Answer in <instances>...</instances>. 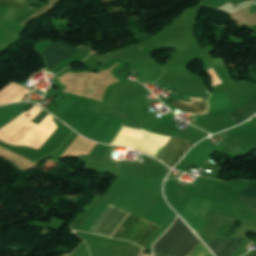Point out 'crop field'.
<instances>
[{"label":"crop field","mask_w":256,"mask_h":256,"mask_svg":"<svg viewBox=\"0 0 256 256\" xmlns=\"http://www.w3.org/2000/svg\"><path fill=\"white\" fill-rule=\"evenodd\" d=\"M199 239L177 218L167 233L154 246V253L167 256H187Z\"/></svg>","instance_id":"obj_1"},{"label":"crop field","mask_w":256,"mask_h":256,"mask_svg":"<svg viewBox=\"0 0 256 256\" xmlns=\"http://www.w3.org/2000/svg\"><path fill=\"white\" fill-rule=\"evenodd\" d=\"M160 229L161 227L130 214L111 237L132 241L143 247Z\"/></svg>","instance_id":"obj_2"},{"label":"crop field","mask_w":256,"mask_h":256,"mask_svg":"<svg viewBox=\"0 0 256 256\" xmlns=\"http://www.w3.org/2000/svg\"><path fill=\"white\" fill-rule=\"evenodd\" d=\"M127 214L108 204L89 232L110 237Z\"/></svg>","instance_id":"obj_3"},{"label":"crop field","mask_w":256,"mask_h":256,"mask_svg":"<svg viewBox=\"0 0 256 256\" xmlns=\"http://www.w3.org/2000/svg\"><path fill=\"white\" fill-rule=\"evenodd\" d=\"M192 146V144L185 140L172 138L156 158L163 160L168 166L173 167Z\"/></svg>","instance_id":"obj_4"},{"label":"crop field","mask_w":256,"mask_h":256,"mask_svg":"<svg viewBox=\"0 0 256 256\" xmlns=\"http://www.w3.org/2000/svg\"><path fill=\"white\" fill-rule=\"evenodd\" d=\"M75 51L77 50L63 41L54 42L42 53L46 60L47 69H51L53 66L73 54Z\"/></svg>","instance_id":"obj_5"},{"label":"crop field","mask_w":256,"mask_h":256,"mask_svg":"<svg viewBox=\"0 0 256 256\" xmlns=\"http://www.w3.org/2000/svg\"><path fill=\"white\" fill-rule=\"evenodd\" d=\"M243 239H214L209 246L215 256H230Z\"/></svg>","instance_id":"obj_6"},{"label":"crop field","mask_w":256,"mask_h":256,"mask_svg":"<svg viewBox=\"0 0 256 256\" xmlns=\"http://www.w3.org/2000/svg\"><path fill=\"white\" fill-rule=\"evenodd\" d=\"M172 106L183 111H187L191 114H203L208 110V103L206 101H193L191 104L175 101L171 103Z\"/></svg>","instance_id":"obj_7"},{"label":"crop field","mask_w":256,"mask_h":256,"mask_svg":"<svg viewBox=\"0 0 256 256\" xmlns=\"http://www.w3.org/2000/svg\"><path fill=\"white\" fill-rule=\"evenodd\" d=\"M256 113V98L230 116L237 124H240Z\"/></svg>","instance_id":"obj_8"},{"label":"crop field","mask_w":256,"mask_h":256,"mask_svg":"<svg viewBox=\"0 0 256 256\" xmlns=\"http://www.w3.org/2000/svg\"><path fill=\"white\" fill-rule=\"evenodd\" d=\"M240 194V193H239ZM238 194V195H239ZM242 196H250V197H256V181H250L249 184L245 187V189L241 192ZM239 196V198L248 206L250 207L254 212H256V198H250V197H242Z\"/></svg>","instance_id":"obj_9"},{"label":"crop field","mask_w":256,"mask_h":256,"mask_svg":"<svg viewBox=\"0 0 256 256\" xmlns=\"http://www.w3.org/2000/svg\"><path fill=\"white\" fill-rule=\"evenodd\" d=\"M210 255L211 254L209 253V251L200 242V244L188 256H210Z\"/></svg>","instance_id":"obj_10"},{"label":"crop field","mask_w":256,"mask_h":256,"mask_svg":"<svg viewBox=\"0 0 256 256\" xmlns=\"http://www.w3.org/2000/svg\"><path fill=\"white\" fill-rule=\"evenodd\" d=\"M0 2L23 9L26 2L20 0H0Z\"/></svg>","instance_id":"obj_11"},{"label":"crop field","mask_w":256,"mask_h":256,"mask_svg":"<svg viewBox=\"0 0 256 256\" xmlns=\"http://www.w3.org/2000/svg\"><path fill=\"white\" fill-rule=\"evenodd\" d=\"M249 13H250V14L256 13V5L249 7Z\"/></svg>","instance_id":"obj_12"},{"label":"crop field","mask_w":256,"mask_h":256,"mask_svg":"<svg viewBox=\"0 0 256 256\" xmlns=\"http://www.w3.org/2000/svg\"><path fill=\"white\" fill-rule=\"evenodd\" d=\"M117 136H118V134H117ZM117 136H116V137H117ZM116 137H115V139H116ZM115 139L113 140V142L115 141ZM113 142H112V144H113Z\"/></svg>","instance_id":"obj_13"},{"label":"crop field","mask_w":256,"mask_h":256,"mask_svg":"<svg viewBox=\"0 0 256 256\" xmlns=\"http://www.w3.org/2000/svg\"><path fill=\"white\" fill-rule=\"evenodd\" d=\"M252 244H253V242H252L250 245H248L247 248H248L249 246H251Z\"/></svg>","instance_id":"obj_14"}]
</instances>
